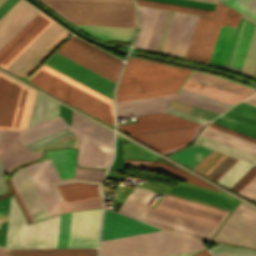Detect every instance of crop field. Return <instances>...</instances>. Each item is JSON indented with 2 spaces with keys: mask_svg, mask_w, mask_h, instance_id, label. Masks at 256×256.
<instances>
[{
  "mask_svg": "<svg viewBox=\"0 0 256 256\" xmlns=\"http://www.w3.org/2000/svg\"><path fill=\"white\" fill-rule=\"evenodd\" d=\"M228 213L164 194L155 208L146 206L138 219L170 232L208 241Z\"/></svg>",
  "mask_w": 256,
  "mask_h": 256,
  "instance_id": "obj_1",
  "label": "crop field"
},
{
  "mask_svg": "<svg viewBox=\"0 0 256 256\" xmlns=\"http://www.w3.org/2000/svg\"><path fill=\"white\" fill-rule=\"evenodd\" d=\"M44 91L113 125V100L42 65L28 80Z\"/></svg>",
  "mask_w": 256,
  "mask_h": 256,
  "instance_id": "obj_2",
  "label": "crop field"
},
{
  "mask_svg": "<svg viewBox=\"0 0 256 256\" xmlns=\"http://www.w3.org/2000/svg\"><path fill=\"white\" fill-rule=\"evenodd\" d=\"M202 248L197 240L159 231L101 241L100 256H163Z\"/></svg>",
  "mask_w": 256,
  "mask_h": 256,
  "instance_id": "obj_3",
  "label": "crop field"
},
{
  "mask_svg": "<svg viewBox=\"0 0 256 256\" xmlns=\"http://www.w3.org/2000/svg\"><path fill=\"white\" fill-rule=\"evenodd\" d=\"M73 24L137 27L134 6L42 0Z\"/></svg>",
  "mask_w": 256,
  "mask_h": 256,
  "instance_id": "obj_4",
  "label": "crop field"
},
{
  "mask_svg": "<svg viewBox=\"0 0 256 256\" xmlns=\"http://www.w3.org/2000/svg\"><path fill=\"white\" fill-rule=\"evenodd\" d=\"M59 219L60 215L28 225L12 194L5 247H56Z\"/></svg>",
  "mask_w": 256,
  "mask_h": 256,
  "instance_id": "obj_5",
  "label": "crop field"
},
{
  "mask_svg": "<svg viewBox=\"0 0 256 256\" xmlns=\"http://www.w3.org/2000/svg\"><path fill=\"white\" fill-rule=\"evenodd\" d=\"M197 123L179 118H168L142 123L119 125V129L141 142L163 152L188 142Z\"/></svg>",
  "mask_w": 256,
  "mask_h": 256,
  "instance_id": "obj_6",
  "label": "crop field"
},
{
  "mask_svg": "<svg viewBox=\"0 0 256 256\" xmlns=\"http://www.w3.org/2000/svg\"><path fill=\"white\" fill-rule=\"evenodd\" d=\"M40 12L27 6L4 30L0 32V50L4 48ZM27 25L4 49L0 51V66L6 67L52 21L41 13Z\"/></svg>",
  "mask_w": 256,
  "mask_h": 256,
  "instance_id": "obj_7",
  "label": "crop field"
},
{
  "mask_svg": "<svg viewBox=\"0 0 256 256\" xmlns=\"http://www.w3.org/2000/svg\"><path fill=\"white\" fill-rule=\"evenodd\" d=\"M34 92L0 73V129L21 130L27 127Z\"/></svg>",
  "mask_w": 256,
  "mask_h": 256,
  "instance_id": "obj_8",
  "label": "crop field"
},
{
  "mask_svg": "<svg viewBox=\"0 0 256 256\" xmlns=\"http://www.w3.org/2000/svg\"><path fill=\"white\" fill-rule=\"evenodd\" d=\"M53 22L6 69L26 77L70 34Z\"/></svg>",
  "mask_w": 256,
  "mask_h": 256,
  "instance_id": "obj_9",
  "label": "crop field"
},
{
  "mask_svg": "<svg viewBox=\"0 0 256 256\" xmlns=\"http://www.w3.org/2000/svg\"><path fill=\"white\" fill-rule=\"evenodd\" d=\"M56 52L100 74L101 76L116 82L123 63L90 46L89 44L71 37ZM94 58H91V57Z\"/></svg>",
  "mask_w": 256,
  "mask_h": 256,
  "instance_id": "obj_10",
  "label": "crop field"
},
{
  "mask_svg": "<svg viewBox=\"0 0 256 256\" xmlns=\"http://www.w3.org/2000/svg\"><path fill=\"white\" fill-rule=\"evenodd\" d=\"M225 67L256 75V22L241 16Z\"/></svg>",
  "mask_w": 256,
  "mask_h": 256,
  "instance_id": "obj_11",
  "label": "crop field"
},
{
  "mask_svg": "<svg viewBox=\"0 0 256 256\" xmlns=\"http://www.w3.org/2000/svg\"><path fill=\"white\" fill-rule=\"evenodd\" d=\"M226 8L218 2L213 19L198 17L185 58L208 63Z\"/></svg>",
  "mask_w": 256,
  "mask_h": 256,
  "instance_id": "obj_12",
  "label": "crop field"
},
{
  "mask_svg": "<svg viewBox=\"0 0 256 256\" xmlns=\"http://www.w3.org/2000/svg\"><path fill=\"white\" fill-rule=\"evenodd\" d=\"M215 239L256 247V209L241 202Z\"/></svg>",
  "mask_w": 256,
  "mask_h": 256,
  "instance_id": "obj_13",
  "label": "crop field"
},
{
  "mask_svg": "<svg viewBox=\"0 0 256 256\" xmlns=\"http://www.w3.org/2000/svg\"><path fill=\"white\" fill-rule=\"evenodd\" d=\"M44 64L113 99L112 92L115 83L101 77L70 59L55 52Z\"/></svg>",
  "mask_w": 256,
  "mask_h": 256,
  "instance_id": "obj_14",
  "label": "crop field"
},
{
  "mask_svg": "<svg viewBox=\"0 0 256 256\" xmlns=\"http://www.w3.org/2000/svg\"><path fill=\"white\" fill-rule=\"evenodd\" d=\"M191 70L130 56L118 84L190 74Z\"/></svg>",
  "mask_w": 256,
  "mask_h": 256,
  "instance_id": "obj_15",
  "label": "crop field"
},
{
  "mask_svg": "<svg viewBox=\"0 0 256 256\" xmlns=\"http://www.w3.org/2000/svg\"><path fill=\"white\" fill-rule=\"evenodd\" d=\"M187 77L188 75L118 85L116 102L176 93Z\"/></svg>",
  "mask_w": 256,
  "mask_h": 256,
  "instance_id": "obj_16",
  "label": "crop field"
},
{
  "mask_svg": "<svg viewBox=\"0 0 256 256\" xmlns=\"http://www.w3.org/2000/svg\"><path fill=\"white\" fill-rule=\"evenodd\" d=\"M102 209L72 212L69 247H97Z\"/></svg>",
  "mask_w": 256,
  "mask_h": 256,
  "instance_id": "obj_17",
  "label": "crop field"
},
{
  "mask_svg": "<svg viewBox=\"0 0 256 256\" xmlns=\"http://www.w3.org/2000/svg\"><path fill=\"white\" fill-rule=\"evenodd\" d=\"M197 17L195 15L174 13L163 53L185 57Z\"/></svg>",
  "mask_w": 256,
  "mask_h": 256,
  "instance_id": "obj_18",
  "label": "crop field"
},
{
  "mask_svg": "<svg viewBox=\"0 0 256 256\" xmlns=\"http://www.w3.org/2000/svg\"><path fill=\"white\" fill-rule=\"evenodd\" d=\"M80 140L77 163L82 166L107 168L112 157V148L71 129Z\"/></svg>",
  "mask_w": 256,
  "mask_h": 256,
  "instance_id": "obj_19",
  "label": "crop field"
},
{
  "mask_svg": "<svg viewBox=\"0 0 256 256\" xmlns=\"http://www.w3.org/2000/svg\"><path fill=\"white\" fill-rule=\"evenodd\" d=\"M19 132L3 130L0 143V160L6 170L17 164L37 158L40 151L32 152L18 141Z\"/></svg>",
  "mask_w": 256,
  "mask_h": 256,
  "instance_id": "obj_20",
  "label": "crop field"
},
{
  "mask_svg": "<svg viewBox=\"0 0 256 256\" xmlns=\"http://www.w3.org/2000/svg\"><path fill=\"white\" fill-rule=\"evenodd\" d=\"M153 231L159 229L106 210L101 240Z\"/></svg>",
  "mask_w": 256,
  "mask_h": 256,
  "instance_id": "obj_21",
  "label": "crop field"
},
{
  "mask_svg": "<svg viewBox=\"0 0 256 256\" xmlns=\"http://www.w3.org/2000/svg\"><path fill=\"white\" fill-rule=\"evenodd\" d=\"M49 216L64 213L60 201L40 162L25 167Z\"/></svg>",
  "mask_w": 256,
  "mask_h": 256,
  "instance_id": "obj_22",
  "label": "crop field"
},
{
  "mask_svg": "<svg viewBox=\"0 0 256 256\" xmlns=\"http://www.w3.org/2000/svg\"><path fill=\"white\" fill-rule=\"evenodd\" d=\"M241 14L227 8L223 23L237 27ZM221 26L211 59L209 63L224 66L231 42L233 40L236 28L229 26Z\"/></svg>",
  "mask_w": 256,
  "mask_h": 256,
  "instance_id": "obj_23",
  "label": "crop field"
},
{
  "mask_svg": "<svg viewBox=\"0 0 256 256\" xmlns=\"http://www.w3.org/2000/svg\"><path fill=\"white\" fill-rule=\"evenodd\" d=\"M172 95L116 103L117 117L163 111Z\"/></svg>",
  "mask_w": 256,
  "mask_h": 256,
  "instance_id": "obj_24",
  "label": "crop field"
},
{
  "mask_svg": "<svg viewBox=\"0 0 256 256\" xmlns=\"http://www.w3.org/2000/svg\"><path fill=\"white\" fill-rule=\"evenodd\" d=\"M182 89L195 92L219 101H223L229 104H236L237 102L245 99L246 97L236 95L221 89H217L199 82H195L187 79L185 84L182 86Z\"/></svg>",
  "mask_w": 256,
  "mask_h": 256,
  "instance_id": "obj_25",
  "label": "crop field"
},
{
  "mask_svg": "<svg viewBox=\"0 0 256 256\" xmlns=\"http://www.w3.org/2000/svg\"><path fill=\"white\" fill-rule=\"evenodd\" d=\"M66 127H68L67 124L59 117L41 121L26 130L20 131L19 141L25 144Z\"/></svg>",
  "mask_w": 256,
  "mask_h": 256,
  "instance_id": "obj_26",
  "label": "crop field"
},
{
  "mask_svg": "<svg viewBox=\"0 0 256 256\" xmlns=\"http://www.w3.org/2000/svg\"><path fill=\"white\" fill-rule=\"evenodd\" d=\"M10 256H97V248L10 250Z\"/></svg>",
  "mask_w": 256,
  "mask_h": 256,
  "instance_id": "obj_27",
  "label": "crop field"
},
{
  "mask_svg": "<svg viewBox=\"0 0 256 256\" xmlns=\"http://www.w3.org/2000/svg\"><path fill=\"white\" fill-rule=\"evenodd\" d=\"M189 79L199 81L246 97H248L256 90L247 86H243L231 81H227L215 76L207 75L196 71L192 72V74L189 76Z\"/></svg>",
  "mask_w": 256,
  "mask_h": 256,
  "instance_id": "obj_28",
  "label": "crop field"
},
{
  "mask_svg": "<svg viewBox=\"0 0 256 256\" xmlns=\"http://www.w3.org/2000/svg\"><path fill=\"white\" fill-rule=\"evenodd\" d=\"M34 221L45 218V215L33 194L21 168L12 175Z\"/></svg>",
  "mask_w": 256,
  "mask_h": 256,
  "instance_id": "obj_29",
  "label": "crop field"
},
{
  "mask_svg": "<svg viewBox=\"0 0 256 256\" xmlns=\"http://www.w3.org/2000/svg\"><path fill=\"white\" fill-rule=\"evenodd\" d=\"M71 126L113 147L112 132L75 112L72 114Z\"/></svg>",
  "mask_w": 256,
  "mask_h": 256,
  "instance_id": "obj_30",
  "label": "crop field"
},
{
  "mask_svg": "<svg viewBox=\"0 0 256 256\" xmlns=\"http://www.w3.org/2000/svg\"><path fill=\"white\" fill-rule=\"evenodd\" d=\"M82 30L102 39L131 41L136 28L76 25Z\"/></svg>",
  "mask_w": 256,
  "mask_h": 256,
  "instance_id": "obj_31",
  "label": "crop field"
},
{
  "mask_svg": "<svg viewBox=\"0 0 256 256\" xmlns=\"http://www.w3.org/2000/svg\"><path fill=\"white\" fill-rule=\"evenodd\" d=\"M227 157V155L219 153L217 151H215L206 161H204L197 169L196 171L204 174V175H208L217 165H219L225 158ZM236 160V158H233L231 156H229L210 176L209 178L215 180L225 169H227L234 161ZM238 161V159L227 169L229 170L236 162ZM225 170L217 179L216 181L227 171ZM207 176V177H208Z\"/></svg>",
  "mask_w": 256,
  "mask_h": 256,
  "instance_id": "obj_32",
  "label": "crop field"
},
{
  "mask_svg": "<svg viewBox=\"0 0 256 256\" xmlns=\"http://www.w3.org/2000/svg\"><path fill=\"white\" fill-rule=\"evenodd\" d=\"M57 116H59V103L37 93L29 126L41 120Z\"/></svg>",
  "mask_w": 256,
  "mask_h": 256,
  "instance_id": "obj_33",
  "label": "crop field"
},
{
  "mask_svg": "<svg viewBox=\"0 0 256 256\" xmlns=\"http://www.w3.org/2000/svg\"><path fill=\"white\" fill-rule=\"evenodd\" d=\"M61 180L73 178L74 164V150H58L48 152Z\"/></svg>",
  "mask_w": 256,
  "mask_h": 256,
  "instance_id": "obj_34",
  "label": "crop field"
},
{
  "mask_svg": "<svg viewBox=\"0 0 256 256\" xmlns=\"http://www.w3.org/2000/svg\"><path fill=\"white\" fill-rule=\"evenodd\" d=\"M158 11L157 9L139 7L141 28L135 46L147 48Z\"/></svg>",
  "mask_w": 256,
  "mask_h": 256,
  "instance_id": "obj_35",
  "label": "crop field"
},
{
  "mask_svg": "<svg viewBox=\"0 0 256 256\" xmlns=\"http://www.w3.org/2000/svg\"><path fill=\"white\" fill-rule=\"evenodd\" d=\"M210 151L211 149L193 144L169 157L193 169Z\"/></svg>",
  "mask_w": 256,
  "mask_h": 256,
  "instance_id": "obj_36",
  "label": "crop field"
},
{
  "mask_svg": "<svg viewBox=\"0 0 256 256\" xmlns=\"http://www.w3.org/2000/svg\"><path fill=\"white\" fill-rule=\"evenodd\" d=\"M196 142L256 164L255 154L243 151L202 135H200Z\"/></svg>",
  "mask_w": 256,
  "mask_h": 256,
  "instance_id": "obj_37",
  "label": "crop field"
},
{
  "mask_svg": "<svg viewBox=\"0 0 256 256\" xmlns=\"http://www.w3.org/2000/svg\"><path fill=\"white\" fill-rule=\"evenodd\" d=\"M213 123H216L218 125L230 128L232 130H235L256 138V126L237 120L235 118L229 117L227 115H224V114L220 115L213 121Z\"/></svg>",
  "mask_w": 256,
  "mask_h": 256,
  "instance_id": "obj_38",
  "label": "crop field"
},
{
  "mask_svg": "<svg viewBox=\"0 0 256 256\" xmlns=\"http://www.w3.org/2000/svg\"><path fill=\"white\" fill-rule=\"evenodd\" d=\"M224 114L256 125V107L248 105L246 103L241 102L238 105L229 109Z\"/></svg>",
  "mask_w": 256,
  "mask_h": 256,
  "instance_id": "obj_39",
  "label": "crop field"
},
{
  "mask_svg": "<svg viewBox=\"0 0 256 256\" xmlns=\"http://www.w3.org/2000/svg\"><path fill=\"white\" fill-rule=\"evenodd\" d=\"M251 166L253 164L239 160L218 182L230 188Z\"/></svg>",
  "mask_w": 256,
  "mask_h": 256,
  "instance_id": "obj_40",
  "label": "crop field"
},
{
  "mask_svg": "<svg viewBox=\"0 0 256 256\" xmlns=\"http://www.w3.org/2000/svg\"><path fill=\"white\" fill-rule=\"evenodd\" d=\"M143 192H144V189L134 187L133 191L130 193V195L125 199V201L122 204L132 207ZM152 196H153L152 192L145 190V192L142 194V196L139 198V200L136 202L133 208L142 211L143 208L149 202V200L152 198Z\"/></svg>",
  "mask_w": 256,
  "mask_h": 256,
  "instance_id": "obj_41",
  "label": "crop field"
},
{
  "mask_svg": "<svg viewBox=\"0 0 256 256\" xmlns=\"http://www.w3.org/2000/svg\"><path fill=\"white\" fill-rule=\"evenodd\" d=\"M220 2L256 20V0H220Z\"/></svg>",
  "mask_w": 256,
  "mask_h": 256,
  "instance_id": "obj_42",
  "label": "crop field"
},
{
  "mask_svg": "<svg viewBox=\"0 0 256 256\" xmlns=\"http://www.w3.org/2000/svg\"><path fill=\"white\" fill-rule=\"evenodd\" d=\"M136 2L137 4H142V5L160 7V8H166V9H172V10H178V11H184V12H190V13H196V14H202V15H208V16H211L213 12L210 10L173 5V4H167V3L155 2V1H149V0H136Z\"/></svg>",
  "mask_w": 256,
  "mask_h": 256,
  "instance_id": "obj_43",
  "label": "crop field"
},
{
  "mask_svg": "<svg viewBox=\"0 0 256 256\" xmlns=\"http://www.w3.org/2000/svg\"><path fill=\"white\" fill-rule=\"evenodd\" d=\"M142 168L147 169V170L152 169V170H157V171H162V172H166V173L175 174L176 176L185 179L189 183H193V184H197V185H200V186L215 189V188H213L214 186L211 187L212 185L210 186V185L206 184L205 182L201 181L200 179H198L197 177H195L191 174H187V173L175 171V170H172V169L160 167V166L154 165L152 163H149L145 166L139 167L138 169L141 170ZM215 190H217V189H215Z\"/></svg>",
  "mask_w": 256,
  "mask_h": 256,
  "instance_id": "obj_44",
  "label": "crop field"
},
{
  "mask_svg": "<svg viewBox=\"0 0 256 256\" xmlns=\"http://www.w3.org/2000/svg\"><path fill=\"white\" fill-rule=\"evenodd\" d=\"M65 211L102 207L101 196L62 204Z\"/></svg>",
  "mask_w": 256,
  "mask_h": 256,
  "instance_id": "obj_45",
  "label": "crop field"
},
{
  "mask_svg": "<svg viewBox=\"0 0 256 256\" xmlns=\"http://www.w3.org/2000/svg\"><path fill=\"white\" fill-rule=\"evenodd\" d=\"M209 251H211L213 255L221 256H256L255 251L240 249L226 245H218L210 249Z\"/></svg>",
  "mask_w": 256,
  "mask_h": 256,
  "instance_id": "obj_46",
  "label": "crop field"
},
{
  "mask_svg": "<svg viewBox=\"0 0 256 256\" xmlns=\"http://www.w3.org/2000/svg\"><path fill=\"white\" fill-rule=\"evenodd\" d=\"M71 212L61 215L57 247H68Z\"/></svg>",
  "mask_w": 256,
  "mask_h": 256,
  "instance_id": "obj_47",
  "label": "crop field"
},
{
  "mask_svg": "<svg viewBox=\"0 0 256 256\" xmlns=\"http://www.w3.org/2000/svg\"><path fill=\"white\" fill-rule=\"evenodd\" d=\"M70 134H72V132L70 131L69 128H67L65 130L59 131L57 133L51 134L49 136L43 137L41 139L35 140L33 142H30V143H27V144H25V146H27L29 149L32 150L34 148H37L39 146H42V145L47 144L49 142L55 141L57 139H60L62 137L70 135Z\"/></svg>",
  "mask_w": 256,
  "mask_h": 256,
  "instance_id": "obj_48",
  "label": "crop field"
},
{
  "mask_svg": "<svg viewBox=\"0 0 256 256\" xmlns=\"http://www.w3.org/2000/svg\"><path fill=\"white\" fill-rule=\"evenodd\" d=\"M27 3V2H26ZM19 0L1 19L0 31L4 29L28 4Z\"/></svg>",
  "mask_w": 256,
  "mask_h": 256,
  "instance_id": "obj_49",
  "label": "crop field"
},
{
  "mask_svg": "<svg viewBox=\"0 0 256 256\" xmlns=\"http://www.w3.org/2000/svg\"><path fill=\"white\" fill-rule=\"evenodd\" d=\"M168 11L160 10L148 49L155 50Z\"/></svg>",
  "mask_w": 256,
  "mask_h": 256,
  "instance_id": "obj_50",
  "label": "crop field"
},
{
  "mask_svg": "<svg viewBox=\"0 0 256 256\" xmlns=\"http://www.w3.org/2000/svg\"><path fill=\"white\" fill-rule=\"evenodd\" d=\"M105 171L94 169H78L76 167L74 178L101 181Z\"/></svg>",
  "mask_w": 256,
  "mask_h": 256,
  "instance_id": "obj_51",
  "label": "crop field"
},
{
  "mask_svg": "<svg viewBox=\"0 0 256 256\" xmlns=\"http://www.w3.org/2000/svg\"><path fill=\"white\" fill-rule=\"evenodd\" d=\"M178 94L188 96V97H191V98H194V99H197V100H200V101H204V102L216 105V106H220V107H223V108H226V109H228L232 106V105H229V104H226V103H223V102H219V101H216V100H213V99H210V98H207V97L195 94V93H191V92H188V91H185V90H182V89L179 90Z\"/></svg>",
  "mask_w": 256,
  "mask_h": 256,
  "instance_id": "obj_52",
  "label": "crop field"
},
{
  "mask_svg": "<svg viewBox=\"0 0 256 256\" xmlns=\"http://www.w3.org/2000/svg\"><path fill=\"white\" fill-rule=\"evenodd\" d=\"M174 99L181 100V101H184V102H187V103H190V104H193V105H197V106L209 109V110H213V111H216V112H219V113H222L226 110V109L216 107V106H213V105H210V104H207V103H204V102H200V101L188 98V97H184V96H181V95H178V94L175 95Z\"/></svg>",
  "mask_w": 256,
  "mask_h": 256,
  "instance_id": "obj_53",
  "label": "crop field"
},
{
  "mask_svg": "<svg viewBox=\"0 0 256 256\" xmlns=\"http://www.w3.org/2000/svg\"><path fill=\"white\" fill-rule=\"evenodd\" d=\"M256 176V165H254L243 177H241L231 189L239 192L250 180Z\"/></svg>",
  "mask_w": 256,
  "mask_h": 256,
  "instance_id": "obj_54",
  "label": "crop field"
},
{
  "mask_svg": "<svg viewBox=\"0 0 256 256\" xmlns=\"http://www.w3.org/2000/svg\"><path fill=\"white\" fill-rule=\"evenodd\" d=\"M174 12L169 11L155 51L161 52Z\"/></svg>",
  "mask_w": 256,
  "mask_h": 256,
  "instance_id": "obj_55",
  "label": "crop field"
},
{
  "mask_svg": "<svg viewBox=\"0 0 256 256\" xmlns=\"http://www.w3.org/2000/svg\"><path fill=\"white\" fill-rule=\"evenodd\" d=\"M41 164L50 180V182H53V181H59L60 178L51 162V160H45V161H41Z\"/></svg>",
  "mask_w": 256,
  "mask_h": 256,
  "instance_id": "obj_56",
  "label": "crop field"
},
{
  "mask_svg": "<svg viewBox=\"0 0 256 256\" xmlns=\"http://www.w3.org/2000/svg\"><path fill=\"white\" fill-rule=\"evenodd\" d=\"M202 135H205V136H207V137H210V138L219 140V141H221V142L230 144V145H232V146H235V147H238V148H241V149H243V150H246V151H249V152H252V153H255V154H256V150H255V149H252V148H250V147H247V146L238 144V143H236V142H233V141L224 139V138H222V137H219V136L210 134V133H208V132L203 131Z\"/></svg>",
  "mask_w": 256,
  "mask_h": 256,
  "instance_id": "obj_57",
  "label": "crop field"
},
{
  "mask_svg": "<svg viewBox=\"0 0 256 256\" xmlns=\"http://www.w3.org/2000/svg\"><path fill=\"white\" fill-rule=\"evenodd\" d=\"M205 131L211 132V133H213V134H216V135L225 137V138H227V139H230V140L239 142V143H241V144H244V145H247V146H250V147H253V148L256 149V144H253V143H250V142H248V141L239 139V138H237V137L228 135V134H226V133H223V132L214 130V129H212V128L207 127V128L205 129Z\"/></svg>",
  "mask_w": 256,
  "mask_h": 256,
  "instance_id": "obj_58",
  "label": "crop field"
},
{
  "mask_svg": "<svg viewBox=\"0 0 256 256\" xmlns=\"http://www.w3.org/2000/svg\"><path fill=\"white\" fill-rule=\"evenodd\" d=\"M209 127H212V128H214V129H217V130L226 132V133H228V134L237 136V137H239V138L248 140V141H250V142L256 143V139H254V138H252V137H249V136L243 135V134H241V133L232 131V130H230V129H227V128L218 126V125H216V124L211 123V124L209 125Z\"/></svg>",
  "mask_w": 256,
  "mask_h": 256,
  "instance_id": "obj_59",
  "label": "crop field"
},
{
  "mask_svg": "<svg viewBox=\"0 0 256 256\" xmlns=\"http://www.w3.org/2000/svg\"><path fill=\"white\" fill-rule=\"evenodd\" d=\"M63 1H79V2H95V3H111V4L134 5L132 0H63Z\"/></svg>",
  "mask_w": 256,
  "mask_h": 256,
  "instance_id": "obj_60",
  "label": "crop field"
},
{
  "mask_svg": "<svg viewBox=\"0 0 256 256\" xmlns=\"http://www.w3.org/2000/svg\"><path fill=\"white\" fill-rule=\"evenodd\" d=\"M256 192V177L250 181L239 193L251 197Z\"/></svg>",
  "mask_w": 256,
  "mask_h": 256,
  "instance_id": "obj_61",
  "label": "crop field"
},
{
  "mask_svg": "<svg viewBox=\"0 0 256 256\" xmlns=\"http://www.w3.org/2000/svg\"><path fill=\"white\" fill-rule=\"evenodd\" d=\"M137 117H138V121H144V120H152V119L174 117V116L166 113H158V114L141 115Z\"/></svg>",
  "mask_w": 256,
  "mask_h": 256,
  "instance_id": "obj_62",
  "label": "crop field"
},
{
  "mask_svg": "<svg viewBox=\"0 0 256 256\" xmlns=\"http://www.w3.org/2000/svg\"><path fill=\"white\" fill-rule=\"evenodd\" d=\"M165 111L176 114V115H179V116H183V117L195 120V121H199V122L207 121L205 119H201V118H198V117H195V116H192V115H188V114H185V113H182V112H179V111H176V110H172V109H169V108H167Z\"/></svg>",
  "mask_w": 256,
  "mask_h": 256,
  "instance_id": "obj_63",
  "label": "crop field"
},
{
  "mask_svg": "<svg viewBox=\"0 0 256 256\" xmlns=\"http://www.w3.org/2000/svg\"><path fill=\"white\" fill-rule=\"evenodd\" d=\"M18 0H7L0 7V18L17 2Z\"/></svg>",
  "mask_w": 256,
  "mask_h": 256,
  "instance_id": "obj_64",
  "label": "crop field"
},
{
  "mask_svg": "<svg viewBox=\"0 0 256 256\" xmlns=\"http://www.w3.org/2000/svg\"><path fill=\"white\" fill-rule=\"evenodd\" d=\"M119 213H123V214L137 218V216L140 214V211L133 210L122 205L121 209L119 210Z\"/></svg>",
  "mask_w": 256,
  "mask_h": 256,
  "instance_id": "obj_65",
  "label": "crop field"
},
{
  "mask_svg": "<svg viewBox=\"0 0 256 256\" xmlns=\"http://www.w3.org/2000/svg\"><path fill=\"white\" fill-rule=\"evenodd\" d=\"M22 170H23V172H24V174H25V176H26V178H27V180H28V182H29V184H30V186H31V188H32V190H33V192L35 193V195H36V197H37V199H38V201H39V203H40V205H41V207H42V209H43V211H44L46 217H48V214H47V212H46V210H45V208H44V206H43V204H42V202H41V200H40V198H39V196H38V194H37V192H36V190H35V188H34V186H33V184H32V182H31V180H30V178H29V176H28V174H27L25 168H22ZM34 193H33V194H34Z\"/></svg>",
  "mask_w": 256,
  "mask_h": 256,
  "instance_id": "obj_66",
  "label": "crop field"
},
{
  "mask_svg": "<svg viewBox=\"0 0 256 256\" xmlns=\"http://www.w3.org/2000/svg\"><path fill=\"white\" fill-rule=\"evenodd\" d=\"M5 170L0 162V194L4 193L6 190L3 175L5 174Z\"/></svg>",
  "mask_w": 256,
  "mask_h": 256,
  "instance_id": "obj_67",
  "label": "crop field"
},
{
  "mask_svg": "<svg viewBox=\"0 0 256 256\" xmlns=\"http://www.w3.org/2000/svg\"><path fill=\"white\" fill-rule=\"evenodd\" d=\"M152 163H155V164L160 165V166H164V167L176 169V170H179V171H183V170H181L180 168H178V167H176V166H174V165H169V164H167V163L158 162V161H153ZM183 172H185V171H183Z\"/></svg>",
  "mask_w": 256,
  "mask_h": 256,
  "instance_id": "obj_68",
  "label": "crop field"
},
{
  "mask_svg": "<svg viewBox=\"0 0 256 256\" xmlns=\"http://www.w3.org/2000/svg\"><path fill=\"white\" fill-rule=\"evenodd\" d=\"M243 102H246V103H248V104H251V105L256 106V98L253 97V96L247 98V99L244 100Z\"/></svg>",
  "mask_w": 256,
  "mask_h": 256,
  "instance_id": "obj_69",
  "label": "crop field"
},
{
  "mask_svg": "<svg viewBox=\"0 0 256 256\" xmlns=\"http://www.w3.org/2000/svg\"><path fill=\"white\" fill-rule=\"evenodd\" d=\"M195 252H197V251L181 253V254H175V255H170V256H190L191 254H193Z\"/></svg>",
  "mask_w": 256,
  "mask_h": 256,
  "instance_id": "obj_70",
  "label": "crop field"
},
{
  "mask_svg": "<svg viewBox=\"0 0 256 256\" xmlns=\"http://www.w3.org/2000/svg\"><path fill=\"white\" fill-rule=\"evenodd\" d=\"M0 256H8V250L0 248Z\"/></svg>",
  "mask_w": 256,
  "mask_h": 256,
  "instance_id": "obj_71",
  "label": "crop field"
},
{
  "mask_svg": "<svg viewBox=\"0 0 256 256\" xmlns=\"http://www.w3.org/2000/svg\"><path fill=\"white\" fill-rule=\"evenodd\" d=\"M132 161H144V162H151L152 160H143V159H130Z\"/></svg>",
  "mask_w": 256,
  "mask_h": 256,
  "instance_id": "obj_72",
  "label": "crop field"
},
{
  "mask_svg": "<svg viewBox=\"0 0 256 256\" xmlns=\"http://www.w3.org/2000/svg\"><path fill=\"white\" fill-rule=\"evenodd\" d=\"M200 1H206V2L216 3L217 0H200Z\"/></svg>",
  "mask_w": 256,
  "mask_h": 256,
  "instance_id": "obj_73",
  "label": "crop field"
},
{
  "mask_svg": "<svg viewBox=\"0 0 256 256\" xmlns=\"http://www.w3.org/2000/svg\"><path fill=\"white\" fill-rule=\"evenodd\" d=\"M250 199L256 200V193Z\"/></svg>",
  "mask_w": 256,
  "mask_h": 256,
  "instance_id": "obj_74",
  "label": "crop field"
},
{
  "mask_svg": "<svg viewBox=\"0 0 256 256\" xmlns=\"http://www.w3.org/2000/svg\"><path fill=\"white\" fill-rule=\"evenodd\" d=\"M6 0H0V5L3 3V2H5Z\"/></svg>",
  "mask_w": 256,
  "mask_h": 256,
  "instance_id": "obj_75",
  "label": "crop field"
},
{
  "mask_svg": "<svg viewBox=\"0 0 256 256\" xmlns=\"http://www.w3.org/2000/svg\"><path fill=\"white\" fill-rule=\"evenodd\" d=\"M1 132H2V130H0V137H1Z\"/></svg>",
  "mask_w": 256,
  "mask_h": 256,
  "instance_id": "obj_76",
  "label": "crop field"
},
{
  "mask_svg": "<svg viewBox=\"0 0 256 256\" xmlns=\"http://www.w3.org/2000/svg\"><path fill=\"white\" fill-rule=\"evenodd\" d=\"M254 95H255V94H254ZM254 95H253V96H254Z\"/></svg>",
  "mask_w": 256,
  "mask_h": 256,
  "instance_id": "obj_77",
  "label": "crop field"
}]
</instances>
